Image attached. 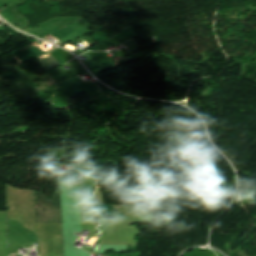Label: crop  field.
<instances>
[{
    "mask_svg": "<svg viewBox=\"0 0 256 256\" xmlns=\"http://www.w3.org/2000/svg\"><path fill=\"white\" fill-rule=\"evenodd\" d=\"M5 212H0V256H7Z\"/></svg>",
    "mask_w": 256,
    "mask_h": 256,
    "instance_id": "8a807250",
    "label": "crop field"
}]
</instances>
